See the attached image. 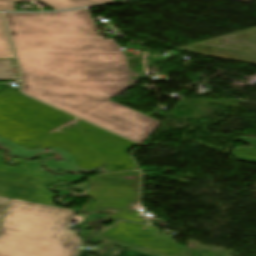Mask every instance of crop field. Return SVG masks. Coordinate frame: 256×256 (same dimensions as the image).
<instances>
[{
    "mask_svg": "<svg viewBox=\"0 0 256 256\" xmlns=\"http://www.w3.org/2000/svg\"><path fill=\"white\" fill-rule=\"evenodd\" d=\"M27 95L142 144L160 122L109 100L128 88L125 57L85 9L4 13Z\"/></svg>",
    "mask_w": 256,
    "mask_h": 256,
    "instance_id": "crop-field-1",
    "label": "crop field"
},
{
    "mask_svg": "<svg viewBox=\"0 0 256 256\" xmlns=\"http://www.w3.org/2000/svg\"><path fill=\"white\" fill-rule=\"evenodd\" d=\"M74 212L11 199L0 229V256H73L79 239L66 226Z\"/></svg>",
    "mask_w": 256,
    "mask_h": 256,
    "instance_id": "crop-field-2",
    "label": "crop field"
},
{
    "mask_svg": "<svg viewBox=\"0 0 256 256\" xmlns=\"http://www.w3.org/2000/svg\"><path fill=\"white\" fill-rule=\"evenodd\" d=\"M156 231L149 226L121 221L97 237H104L170 254L186 256L185 247L179 245L170 236L158 237Z\"/></svg>",
    "mask_w": 256,
    "mask_h": 256,
    "instance_id": "crop-field-3",
    "label": "crop field"
},
{
    "mask_svg": "<svg viewBox=\"0 0 256 256\" xmlns=\"http://www.w3.org/2000/svg\"><path fill=\"white\" fill-rule=\"evenodd\" d=\"M3 152H4L3 150L0 151V169L43 177L42 184L37 191L34 202H40V203L53 205L51 198L54 196H57V195L48 192L45 189L46 186L49 184L55 183V182H59V181H73V180H76L79 178V176L71 175V174H68V175L64 176L63 178L53 177L50 174L43 171L39 166V161L48 156H51L53 154H44V155L38 157V158H40L38 161H26V160L21 159L20 163L15 168H12V167L6 166L5 164L1 163V155L3 154ZM57 192L60 193L58 195L69 193L68 191H65V190H57Z\"/></svg>",
    "mask_w": 256,
    "mask_h": 256,
    "instance_id": "crop-field-4",
    "label": "crop field"
},
{
    "mask_svg": "<svg viewBox=\"0 0 256 256\" xmlns=\"http://www.w3.org/2000/svg\"><path fill=\"white\" fill-rule=\"evenodd\" d=\"M42 178L0 170V195L33 201Z\"/></svg>",
    "mask_w": 256,
    "mask_h": 256,
    "instance_id": "crop-field-5",
    "label": "crop field"
},
{
    "mask_svg": "<svg viewBox=\"0 0 256 256\" xmlns=\"http://www.w3.org/2000/svg\"><path fill=\"white\" fill-rule=\"evenodd\" d=\"M0 143L2 144V146L7 147L10 149V155H15V156H25V157H31L36 153L42 152L45 149H54L57 150L59 152V154L62 156L64 162H57L54 160H49L46 162V167L54 170L55 172H57L59 169H63L64 171L66 170H73L79 173H83V172H92L97 168H94L92 170L86 171L84 169L78 168L76 167V162L75 159L66 151L59 149V148H43V149H34V150H29L25 147H22L20 145H17L15 143H12L2 137H0ZM106 171L105 168L103 167L102 170H100V172Z\"/></svg>",
    "mask_w": 256,
    "mask_h": 256,
    "instance_id": "crop-field-6",
    "label": "crop field"
},
{
    "mask_svg": "<svg viewBox=\"0 0 256 256\" xmlns=\"http://www.w3.org/2000/svg\"><path fill=\"white\" fill-rule=\"evenodd\" d=\"M56 10L115 2L114 0H41Z\"/></svg>",
    "mask_w": 256,
    "mask_h": 256,
    "instance_id": "crop-field-7",
    "label": "crop field"
},
{
    "mask_svg": "<svg viewBox=\"0 0 256 256\" xmlns=\"http://www.w3.org/2000/svg\"><path fill=\"white\" fill-rule=\"evenodd\" d=\"M0 79H18L14 60H0Z\"/></svg>",
    "mask_w": 256,
    "mask_h": 256,
    "instance_id": "crop-field-8",
    "label": "crop field"
},
{
    "mask_svg": "<svg viewBox=\"0 0 256 256\" xmlns=\"http://www.w3.org/2000/svg\"><path fill=\"white\" fill-rule=\"evenodd\" d=\"M0 58H14L0 13Z\"/></svg>",
    "mask_w": 256,
    "mask_h": 256,
    "instance_id": "crop-field-9",
    "label": "crop field"
},
{
    "mask_svg": "<svg viewBox=\"0 0 256 256\" xmlns=\"http://www.w3.org/2000/svg\"><path fill=\"white\" fill-rule=\"evenodd\" d=\"M110 245H103L99 250H77L76 256H109ZM93 252L95 255H89Z\"/></svg>",
    "mask_w": 256,
    "mask_h": 256,
    "instance_id": "crop-field-10",
    "label": "crop field"
},
{
    "mask_svg": "<svg viewBox=\"0 0 256 256\" xmlns=\"http://www.w3.org/2000/svg\"><path fill=\"white\" fill-rule=\"evenodd\" d=\"M113 256H149V255L141 254V253L130 251V250L115 248L113 249Z\"/></svg>",
    "mask_w": 256,
    "mask_h": 256,
    "instance_id": "crop-field-11",
    "label": "crop field"
},
{
    "mask_svg": "<svg viewBox=\"0 0 256 256\" xmlns=\"http://www.w3.org/2000/svg\"><path fill=\"white\" fill-rule=\"evenodd\" d=\"M26 0H0V10L14 11V2Z\"/></svg>",
    "mask_w": 256,
    "mask_h": 256,
    "instance_id": "crop-field-12",
    "label": "crop field"
},
{
    "mask_svg": "<svg viewBox=\"0 0 256 256\" xmlns=\"http://www.w3.org/2000/svg\"><path fill=\"white\" fill-rule=\"evenodd\" d=\"M9 198L1 197L0 196V226L7 208V205L9 203Z\"/></svg>",
    "mask_w": 256,
    "mask_h": 256,
    "instance_id": "crop-field-13",
    "label": "crop field"
}]
</instances>
